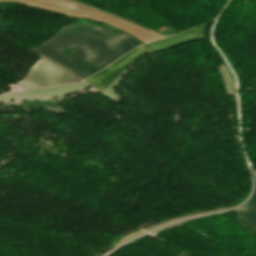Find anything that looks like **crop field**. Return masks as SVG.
Instances as JSON below:
<instances>
[{"mask_svg": "<svg viewBox=\"0 0 256 256\" xmlns=\"http://www.w3.org/2000/svg\"><path fill=\"white\" fill-rule=\"evenodd\" d=\"M150 51L148 47L144 44L128 54L124 55L123 57L116 60L106 69L92 75L91 77L87 78L86 82L93 85L99 90H103L107 87L113 80H115L121 73H123L127 66L130 63H133L134 60L142 53Z\"/></svg>", "mask_w": 256, "mask_h": 256, "instance_id": "crop-field-2", "label": "crop field"}, {"mask_svg": "<svg viewBox=\"0 0 256 256\" xmlns=\"http://www.w3.org/2000/svg\"><path fill=\"white\" fill-rule=\"evenodd\" d=\"M254 179H255V189L252 197L245 203L234 207L237 214L243 218L247 223H249L256 231V174L251 167Z\"/></svg>", "mask_w": 256, "mask_h": 256, "instance_id": "crop-field-4", "label": "crop field"}, {"mask_svg": "<svg viewBox=\"0 0 256 256\" xmlns=\"http://www.w3.org/2000/svg\"><path fill=\"white\" fill-rule=\"evenodd\" d=\"M198 38H205L204 24L197 28L184 31L155 42L147 43V45L152 50L164 49Z\"/></svg>", "mask_w": 256, "mask_h": 256, "instance_id": "crop-field-3", "label": "crop field"}, {"mask_svg": "<svg viewBox=\"0 0 256 256\" xmlns=\"http://www.w3.org/2000/svg\"><path fill=\"white\" fill-rule=\"evenodd\" d=\"M138 45L140 42L129 35L77 24L62 27L52 38L35 48L84 78ZM69 46L81 53L67 61L57 54ZM88 62L90 64L87 65Z\"/></svg>", "mask_w": 256, "mask_h": 256, "instance_id": "crop-field-1", "label": "crop field"}]
</instances>
